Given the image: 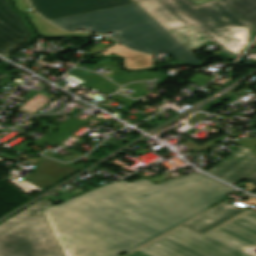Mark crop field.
<instances>
[{
	"label": "crop field",
	"instance_id": "obj_7",
	"mask_svg": "<svg viewBox=\"0 0 256 256\" xmlns=\"http://www.w3.org/2000/svg\"><path fill=\"white\" fill-rule=\"evenodd\" d=\"M32 31L26 26L23 16L16 12L8 0H0V54H9L29 40Z\"/></svg>",
	"mask_w": 256,
	"mask_h": 256
},
{
	"label": "crop field",
	"instance_id": "obj_1",
	"mask_svg": "<svg viewBox=\"0 0 256 256\" xmlns=\"http://www.w3.org/2000/svg\"><path fill=\"white\" fill-rule=\"evenodd\" d=\"M233 190L196 173L106 184L43 213L64 256H119L208 210Z\"/></svg>",
	"mask_w": 256,
	"mask_h": 256
},
{
	"label": "crop field",
	"instance_id": "obj_6",
	"mask_svg": "<svg viewBox=\"0 0 256 256\" xmlns=\"http://www.w3.org/2000/svg\"><path fill=\"white\" fill-rule=\"evenodd\" d=\"M47 20L133 4V0H30Z\"/></svg>",
	"mask_w": 256,
	"mask_h": 256
},
{
	"label": "crop field",
	"instance_id": "obj_10",
	"mask_svg": "<svg viewBox=\"0 0 256 256\" xmlns=\"http://www.w3.org/2000/svg\"><path fill=\"white\" fill-rule=\"evenodd\" d=\"M244 211L246 210L224 202L207 213L185 223L183 226L202 234Z\"/></svg>",
	"mask_w": 256,
	"mask_h": 256
},
{
	"label": "crop field",
	"instance_id": "obj_9",
	"mask_svg": "<svg viewBox=\"0 0 256 256\" xmlns=\"http://www.w3.org/2000/svg\"><path fill=\"white\" fill-rule=\"evenodd\" d=\"M86 166H88V164L66 165L41 156L27 182L44 191Z\"/></svg>",
	"mask_w": 256,
	"mask_h": 256
},
{
	"label": "crop field",
	"instance_id": "obj_20",
	"mask_svg": "<svg viewBox=\"0 0 256 256\" xmlns=\"http://www.w3.org/2000/svg\"><path fill=\"white\" fill-rule=\"evenodd\" d=\"M247 21H249L253 26H255L252 29V33L256 32V10H254L253 12L243 16Z\"/></svg>",
	"mask_w": 256,
	"mask_h": 256
},
{
	"label": "crop field",
	"instance_id": "obj_25",
	"mask_svg": "<svg viewBox=\"0 0 256 256\" xmlns=\"http://www.w3.org/2000/svg\"><path fill=\"white\" fill-rule=\"evenodd\" d=\"M160 73V72H159ZM162 74V73H161ZM122 75V74H121ZM164 76H162V77H159L160 78V80L159 81H156L157 83H161L164 79H166L167 77H168V75H166V74H163ZM114 78V77H113Z\"/></svg>",
	"mask_w": 256,
	"mask_h": 256
},
{
	"label": "crop field",
	"instance_id": "obj_2",
	"mask_svg": "<svg viewBox=\"0 0 256 256\" xmlns=\"http://www.w3.org/2000/svg\"><path fill=\"white\" fill-rule=\"evenodd\" d=\"M50 22L68 31L81 27L101 34L113 32L114 38L131 49L154 55L167 51L179 62L202 63L136 4Z\"/></svg>",
	"mask_w": 256,
	"mask_h": 256
},
{
	"label": "crop field",
	"instance_id": "obj_14",
	"mask_svg": "<svg viewBox=\"0 0 256 256\" xmlns=\"http://www.w3.org/2000/svg\"><path fill=\"white\" fill-rule=\"evenodd\" d=\"M242 16L256 9V0H223Z\"/></svg>",
	"mask_w": 256,
	"mask_h": 256
},
{
	"label": "crop field",
	"instance_id": "obj_11",
	"mask_svg": "<svg viewBox=\"0 0 256 256\" xmlns=\"http://www.w3.org/2000/svg\"><path fill=\"white\" fill-rule=\"evenodd\" d=\"M104 55L111 53L125 57V67L128 69L147 68L152 65V56L132 51L122 45L101 52Z\"/></svg>",
	"mask_w": 256,
	"mask_h": 256
},
{
	"label": "crop field",
	"instance_id": "obj_13",
	"mask_svg": "<svg viewBox=\"0 0 256 256\" xmlns=\"http://www.w3.org/2000/svg\"><path fill=\"white\" fill-rule=\"evenodd\" d=\"M16 7L25 12L28 13L32 23L35 24V26L39 29L40 33L42 35H50V36H56V35H63V34H87L89 36L93 35L90 33H69V32H64L48 22H46L44 19H42L39 15H37L34 10L28 11L27 8L29 7L28 3L26 0H16Z\"/></svg>",
	"mask_w": 256,
	"mask_h": 256
},
{
	"label": "crop field",
	"instance_id": "obj_12",
	"mask_svg": "<svg viewBox=\"0 0 256 256\" xmlns=\"http://www.w3.org/2000/svg\"><path fill=\"white\" fill-rule=\"evenodd\" d=\"M69 73L85 81V83L82 84L81 86H84L89 89L94 88L105 95L111 94L117 91L119 88L118 86L109 83L107 80H105L101 76H98L93 73H89V72L77 70V69H74Z\"/></svg>",
	"mask_w": 256,
	"mask_h": 256
},
{
	"label": "crop field",
	"instance_id": "obj_17",
	"mask_svg": "<svg viewBox=\"0 0 256 256\" xmlns=\"http://www.w3.org/2000/svg\"><path fill=\"white\" fill-rule=\"evenodd\" d=\"M212 79L213 78H209V77L197 74L193 78H191L188 82L203 86L209 81H211Z\"/></svg>",
	"mask_w": 256,
	"mask_h": 256
},
{
	"label": "crop field",
	"instance_id": "obj_15",
	"mask_svg": "<svg viewBox=\"0 0 256 256\" xmlns=\"http://www.w3.org/2000/svg\"><path fill=\"white\" fill-rule=\"evenodd\" d=\"M159 76H162V75H160L158 73L145 74V75H128V74H124V75L116 77L114 79L117 80L119 83L123 84V83L129 82V81H134V80H139V79H152L154 77H159Z\"/></svg>",
	"mask_w": 256,
	"mask_h": 256
},
{
	"label": "crop field",
	"instance_id": "obj_27",
	"mask_svg": "<svg viewBox=\"0 0 256 256\" xmlns=\"http://www.w3.org/2000/svg\"><path fill=\"white\" fill-rule=\"evenodd\" d=\"M254 46L256 47V41H255V43H254Z\"/></svg>",
	"mask_w": 256,
	"mask_h": 256
},
{
	"label": "crop field",
	"instance_id": "obj_26",
	"mask_svg": "<svg viewBox=\"0 0 256 256\" xmlns=\"http://www.w3.org/2000/svg\"><path fill=\"white\" fill-rule=\"evenodd\" d=\"M134 1L137 3V2H140V1H143V0H134Z\"/></svg>",
	"mask_w": 256,
	"mask_h": 256
},
{
	"label": "crop field",
	"instance_id": "obj_21",
	"mask_svg": "<svg viewBox=\"0 0 256 256\" xmlns=\"http://www.w3.org/2000/svg\"><path fill=\"white\" fill-rule=\"evenodd\" d=\"M244 179H246V180L256 184V171L253 174H251L250 176H248V177H246Z\"/></svg>",
	"mask_w": 256,
	"mask_h": 256
},
{
	"label": "crop field",
	"instance_id": "obj_4",
	"mask_svg": "<svg viewBox=\"0 0 256 256\" xmlns=\"http://www.w3.org/2000/svg\"><path fill=\"white\" fill-rule=\"evenodd\" d=\"M256 213L249 210L200 235L183 226L138 251L148 256H256Z\"/></svg>",
	"mask_w": 256,
	"mask_h": 256
},
{
	"label": "crop field",
	"instance_id": "obj_22",
	"mask_svg": "<svg viewBox=\"0 0 256 256\" xmlns=\"http://www.w3.org/2000/svg\"><path fill=\"white\" fill-rule=\"evenodd\" d=\"M192 2H194L196 5L211 1V0H191Z\"/></svg>",
	"mask_w": 256,
	"mask_h": 256
},
{
	"label": "crop field",
	"instance_id": "obj_8",
	"mask_svg": "<svg viewBox=\"0 0 256 256\" xmlns=\"http://www.w3.org/2000/svg\"><path fill=\"white\" fill-rule=\"evenodd\" d=\"M255 167L256 157L240 146L207 173L232 184Z\"/></svg>",
	"mask_w": 256,
	"mask_h": 256
},
{
	"label": "crop field",
	"instance_id": "obj_18",
	"mask_svg": "<svg viewBox=\"0 0 256 256\" xmlns=\"http://www.w3.org/2000/svg\"><path fill=\"white\" fill-rule=\"evenodd\" d=\"M111 98H113V99H115L116 101H118V102H120V103H122V104H124V105H126V106H128V107H132V106H134L137 102H139V101H131V100H129V99H126V98H123V97H120V96H118V95H114V96H112Z\"/></svg>",
	"mask_w": 256,
	"mask_h": 256
},
{
	"label": "crop field",
	"instance_id": "obj_23",
	"mask_svg": "<svg viewBox=\"0 0 256 256\" xmlns=\"http://www.w3.org/2000/svg\"><path fill=\"white\" fill-rule=\"evenodd\" d=\"M8 77H9V74H2V73H0V83H2Z\"/></svg>",
	"mask_w": 256,
	"mask_h": 256
},
{
	"label": "crop field",
	"instance_id": "obj_16",
	"mask_svg": "<svg viewBox=\"0 0 256 256\" xmlns=\"http://www.w3.org/2000/svg\"><path fill=\"white\" fill-rule=\"evenodd\" d=\"M236 144L242 145L246 148H248L255 156H256V138L254 139H248V140H242V141H236L234 142ZM252 172V171H251ZM249 174V173H248ZM247 174V175H248ZM246 176V175H245ZM244 176V177H245ZM243 177V178H244ZM243 178H241L240 180H242ZM240 180H238L237 182H235L233 185H235L236 183H238Z\"/></svg>",
	"mask_w": 256,
	"mask_h": 256
},
{
	"label": "crop field",
	"instance_id": "obj_5",
	"mask_svg": "<svg viewBox=\"0 0 256 256\" xmlns=\"http://www.w3.org/2000/svg\"><path fill=\"white\" fill-rule=\"evenodd\" d=\"M45 198L0 224V256H63L41 210Z\"/></svg>",
	"mask_w": 256,
	"mask_h": 256
},
{
	"label": "crop field",
	"instance_id": "obj_19",
	"mask_svg": "<svg viewBox=\"0 0 256 256\" xmlns=\"http://www.w3.org/2000/svg\"><path fill=\"white\" fill-rule=\"evenodd\" d=\"M128 87L133 89V90H135V91H137L134 95H132V97H142V96L146 95L147 93H149V92L141 89L139 83L138 84H132V85H130Z\"/></svg>",
	"mask_w": 256,
	"mask_h": 256
},
{
	"label": "crop field",
	"instance_id": "obj_3",
	"mask_svg": "<svg viewBox=\"0 0 256 256\" xmlns=\"http://www.w3.org/2000/svg\"><path fill=\"white\" fill-rule=\"evenodd\" d=\"M137 5L166 30L191 24L232 54L250 42L252 25L221 0L199 6L190 0H146Z\"/></svg>",
	"mask_w": 256,
	"mask_h": 256
},
{
	"label": "crop field",
	"instance_id": "obj_24",
	"mask_svg": "<svg viewBox=\"0 0 256 256\" xmlns=\"http://www.w3.org/2000/svg\"><path fill=\"white\" fill-rule=\"evenodd\" d=\"M128 256H146V255H144V254H142V253L136 251V252H134V253H132V254H130V255H128Z\"/></svg>",
	"mask_w": 256,
	"mask_h": 256
}]
</instances>
